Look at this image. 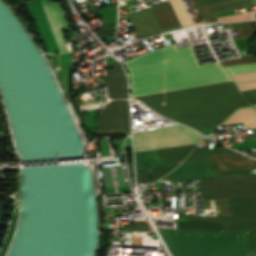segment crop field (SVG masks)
Wrapping results in <instances>:
<instances>
[{
  "instance_id": "bd1437ed",
  "label": "crop field",
  "mask_w": 256,
  "mask_h": 256,
  "mask_svg": "<svg viewBox=\"0 0 256 256\" xmlns=\"http://www.w3.org/2000/svg\"><path fill=\"white\" fill-rule=\"evenodd\" d=\"M242 94L250 102L251 105L256 104V89L242 92Z\"/></svg>"
},
{
  "instance_id": "ac0d7876",
  "label": "crop field",
  "mask_w": 256,
  "mask_h": 256,
  "mask_svg": "<svg viewBox=\"0 0 256 256\" xmlns=\"http://www.w3.org/2000/svg\"><path fill=\"white\" fill-rule=\"evenodd\" d=\"M158 230L173 256H256L248 232Z\"/></svg>"
},
{
  "instance_id": "214f88e0",
  "label": "crop field",
  "mask_w": 256,
  "mask_h": 256,
  "mask_svg": "<svg viewBox=\"0 0 256 256\" xmlns=\"http://www.w3.org/2000/svg\"><path fill=\"white\" fill-rule=\"evenodd\" d=\"M173 169L168 170H156V171H141L136 172L137 174V182H150L149 180H157L158 178L162 177L161 174H166Z\"/></svg>"
},
{
  "instance_id": "f4fd0767",
  "label": "crop field",
  "mask_w": 256,
  "mask_h": 256,
  "mask_svg": "<svg viewBox=\"0 0 256 256\" xmlns=\"http://www.w3.org/2000/svg\"><path fill=\"white\" fill-rule=\"evenodd\" d=\"M130 133L127 100L108 103L102 110L99 134Z\"/></svg>"
},
{
  "instance_id": "b80d0937",
  "label": "crop field",
  "mask_w": 256,
  "mask_h": 256,
  "mask_svg": "<svg viewBox=\"0 0 256 256\" xmlns=\"http://www.w3.org/2000/svg\"><path fill=\"white\" fill-rule=\"evenodd\" d=\"M255 139H256V135H254Z\"/></svg>"
},
{
  "instance_id": "e1f06a70",
  "label": "crop field",
  "mask_w": 256,
  "mask_h": 256,
  "mask_svg": "<svg viewBox=\"0 0 256 256\" xmlns=\"http://www.w3.org/2000/svg\"><path fill=\"white\" fill-rule=\"evenodd\" d=\"M241 27H252V24L234 26L233 29H237V28H241Z\"/></svg>"
},
{
  "instance_id": "d8731c3e",
  "label": "crop field",
  "mask_w": 256,
  "mask_h": 256,
  "mask_svg": "<svg viewBox=\"0 0 256 256\" xmlns=\"http://www.w3.org/2000/svg\"><path fill=\"white\" fill-rule=\"evenodd\" d=\"M127 15L140 38L162 32L150 7Z\"/></svg>"
},
{
  "instance_id": "412701ff",
  "label": "crop field",
  "mask_w": 256,
  "mask_h": 256,
  "mask_svg": "<svg viewBox=\"0 0 256 256\" xmlns=\"http://www.w3.org/2000/svg\"><path fill=\"white\" fill-rule=\"evenodd\" d=\"M203 201L256 197V176L199 180Z\"/></svg>"
},
{
  "instance_id": "28ad6ade",
  "label": "crop field",
  "mask_w": 256,
  "mask_h": 256,
  "mask_svg": "<svg viewBox=\"0 0 256 256\" xmlns=\"http://www.w3.org/2000/svg\"><path fill=\"white\" fill-rule=\"evenodd\" d=\"M136 170L175 168L178 164L162 165L157 150L135 152Z\"/></svg>"
},
{
  "instance_id": "d3111659",
  "label": "crop field",
  "mask_w": 256,
  "mask_h": 256,
  "mask_svg": "<svg viewBox=\"0 0 256 256\" xmlns=\"http://www.w3.org/2000/svg\"><path fill=\"white\" fill-rule=\"evenodd\" d=\"M128 231H150L146 222H133V226H123Z\"/></svg>"
},
{
  "instance_id": "730fd06b",
  "label": "crop field",
  "mask_w": 256,
  "mask_h": 256,
  "mask_svg": "<svg viewBox=\"0 0 256 256\" xmlns=\"http://www.w3.org/2000/svg\"><path fill=\"white\" fill-rule=\"evenodd\" d=\"M188 154L189 153L166 155V156H160V158L163 164H171V163H178L177 160L185 159Z\"/></svg>"
},
{
  "instance_id": "c035e120",
  "label": "crop field",
  "mask_w": 256,
  "mask_h": 256,
  "mask_svg": "<svg viewBox=\"0 0 256 256\" xmlns=\"http://www.w3.org/2000/svg\"><path fill=\"white\" fill-rule=\"evenodd\" d=\"M256 107V105H254Z\"/></svg>"
},
{
  "instance_id": "92a150f3",
  "label": "crop field",
  "mask_w": 256,
  "mask_h": 256,
  "mask_svg": "<svg viewBox=\"0 0 256 256\" xmlns=\"http://www.w3.org/2000/svg\"><path fill=\"white\" fill-rule=\"evenodd\" d=\"M226 69L230 74L256 72V64L229 66Z\"/></svg>"
},
{
  "instance_id": "120bbe31",
  "label": "crop field",
  "mask_w": 256,
  "mask_h": 256,
  "mask_svg": "<svg viewBox=\"0 0 256 256\" xmlns=\"http://www.w3.org/2000/svg\"><path fill=\"white\" fill-rule=\"evenodd\" d=\"M237 87L240 90V92L254 89V88H256V82L255 83H247V84H239V85H237Z\"/></svg>"
},
{
  "instance_id": "00972430",
  "label": "crop field",
  "mask_w": 256,
  "mask_h": 256,
  "mask_svg": "<svg viewBox=\"0 0 256 256\" xmlns=\"http://www.w3.org/2000/svg\"><path fill=\"white\" fill-rule=\"evenodd\" d=\"M235 84L256 81V73L231 75Z\"/></svg>"
},
{
  "instance_id": "cbeb9de0",
  "label": "crop field",
  "mask_w": 256,
  "mask_h": 256,
  "mask_svg": "<svg viewBox=\"0 0 256 256\" xmlns=\"http://www.w3.org/2000/svg\"><path fill=\"white\" fill-rule=\"evenodd\" d=\"M256 0H225L202 6L206 15H212L232 9L254 6Z\"/></svg>"
},
{
  "instance_id": "5142ce71",
  "label": "crop field",
  "mask_w": 256,
  "mask_h": 256,
  "mask_svg": "<svg viewBox=\"0 0 256 256\" xmlns=\"http://www.w3.org/2000/svg\"><path fill=\"white\" fill-rule=\"evenodd\" d=\"M223 231L256 230V217H222Z\"/></svg>"
},
{
  "instance_id": "0bd39190",
  "label": "crop field",
  "mask_w": 256,
  "mask_h": 256,
  "mask_svg": "<svg viewBox=\"0 0 256 256\" xmlns=\"http://www.w3.org/2000/svg\"><path fill=\"white\" fill-rule=\"evenodd\" d=\"M253 134H256V130H253Z\"/></svg>"
},
{
  "instance_id": "028f5c9d",
  "label": "crop field",
  "mask_w": 256,
  "mask_h": 256,
  "mask_svg": "<svg viewBox=\"0 0 256 256\" xmlns=\"http://www.w3.org/2000/svg\"><path fill=\"white\" fill-rule=\"evenodd\" d=\"M199 1H200L201 5H203V4L217 2V1H221V0H199Z\"/></svg>"
},
{
  "instance_id": "3316defc",
  "label": "crop field",
  "mask_w": 256,
  "mask_h": 256,
  "mask_svg": "<svg viewBox=\"0 0 256 256\" xmlns=\"http://www.w3.org/2000/svg\"><path fill=\"white\" fill-rule=\"evenodd\" d=\"M124 81H126L125 74L121 67H113V69L106 71L105 84L109 98H127V87Z\"/></svg>"
},
{
  "instance_id": "dafd665d",
  "label": "crop field",
  "mask_w": 256,
  "mask_h": 256,
  "mask_svg": "<svg viewBox=\"0 0 256 256\" xmlns=\"http://www.w3.org/2000/svg\"><path fill=\"white\" fill-rule=\"evenodd\" d=\"M215 178L250 175L249 170L220 171L214 173Z\"/></svg>"
},
{
  "instance_id": "733c2abd",
  "label": "crop field",
  "mask_w": 256,
  "mask_h": 256,
  "mask_svg": "<svg viewBox=\"0 0 256 256\" xmlns=\"http://www.w3.org/2000/svg\"><path fill=\"white\" fill-rule=\"evenodd\" d=\"M234 152L225 147L193 151L184 162L210 161V155Z\"/></svg>"
},
{
  "instance_id": "a9b5d70f",
  "label": "crop field",
  "mask_w": 256,
  "mask_h": 256,
  "mask_svg": "<svg viewBox=\"0 0 256 256\" xmlns=\"http://www.w3.org/2000/svg\"><path fill=\"white\" fill-rule=\"evenodd\" d=\"M195 145L192 146H184V147H176V148H165V149H159L161 155L165 154H175V153H185V152H191Z\"/></svg>"
},
{
  "instance_id": "d1516ede",
  "label": "crop field",
  "mask_w": 256,
  "mask_h": 256,
  "mask_svg": "<svg viewBox=\"0 0 256 256\" xmlns=\"http://www.w3.org/2000/svg\"><path fill=\"white\" fill-rule=\"evenodd\" d=\"M151 8L162 29L180 25L169 1L151 5Z\"/></svg>"
},
{
  "instance_id": "d32e631a",
  "label": "crop field",
  "mask_w": 256,
  "mask_h": 256,
  "mask_svg": "<svg viewBox=\"0 0 256 256\" xmlns=\"http://www.w3.org/2000/svg\"><path fill=\"white\" fill-rule=\"evenodd\" d=\"M252 250H256V231L249 232Z\"/></svg>"
},
{
  "instance_id": "22f410ed",
  "label": "crop field",
  "mask_w": 256,
  "mask_h": 256,
  "mask_svg": "<svg viewBox=\"0 0 256 256\" xmlns=\"http://www.w3.org/2000/svg\"><path fill=\"white\" fill-rule=\"evenodd\" d=\"M243 123L245 129L256 128V110L250 107L236 109L220 125Z\"/></svg>"
},
{
  "instance_id": "e52e79f7",
  "label": "crop field",
  "mask_w": 256,
  "mask_h": 256,
  "mask_svg": "<svg viewBox=\"0 0 256 256\" xmlns=\"http://www.w3.org/2000/svg\"><path fill=\"white\" fill-rule=\"evenodd\" d=\"M214 178L210 162L182 163L160 180Z\"/></svg>"
},
{
  "instance_id": "750c4746",
  "label": "crop field",
  "mask_w": 256,
  "mask_h": 256,
  "mask_svg": "<svg viewBox=\"0 0 256 256\" xmlns=\"http://www.w3.org/2000/svg\"><path fill=\"white\" fill-rule=\"evenodd\" d=\"M238 30H239L240 34L231 35L233 39L247 37V36H253L252 28H242V29H238Z\"/></svg>"
},
{
  "instance_id": "d9b57169",
  "label": "crop field",
  "mask_w": 256,
  "mask_h": 256,
  "mask_svg": "<svg viewBox=\"0 0 256 256\" xmlns=\"http://www.w3.org/2000/svg\"><path fill=\"white\" fill-rule=\"evenodd\" d=\"M231 216H256V198L228 200Z\"/></svg>"
},
{
  "instance_id": "dd49c442",
  "label": "crop field",
  "mask_w": 256,
  "mask_h": 256,
  "mask_svg": "<svg viewBox=\"0 0 256 256\" xmlns=\"http://www.w3.org/2000/svg\"><path fill=\"white\" fill-rule=\"evenodd\" d=\"M60 51H66L63 43V31L71 30L66 13L59 1L50 4L49 0H40Z\"/></svg>"
},
{
  "instance_id": "ae1a2a85",
  "label": "crop field",
  "mask_w": 256,
  "mask_h": 256,
  "mask_svg": "<svg viewBox=\"0 0 256 256\" xmlns=\"http://www.w3.org/2000/svg\"><path fill=\"white\" fill-rule=\"evenodd\" d=\"M192 2L195 8L198 10L199 15L202 18L203 22H218L215 15L206 17L202 7L199 5L197 0H192Z\"/></svg>"
},
{
  "instance_id": "bc2a9ffb",
  "label": "crop field",
  "mask_w": 256,
  "mask_h": 256,
  "mask_svg": "<svg viewBox=\"0 0 256 256\" xmlns=\"http://www.w3.org/2000/svg\"><path fill=\"white\" fill-rule=\"evenodd\" d=\"M170 2L180 20L182 27L193 24L191 17L189 15V13L187 12L182 0H170Z\"/></svg>"
},
{
  "instance_id": "5a996713",
  "label": "crop field",
  "mask_w": 256,
  "mask_h": 256,
  "mask_svg": "<svg viewBox=\"0 0 256 256\" xmlns=\"http://www.w3.org/2000/svg\"><path fill=\"white\" fill-rule=\"evenodd\" d=\"M211 162L213 171L256 168V160L239 153L211 156Z\"/></svg>"
},
{
  "instance_id": "eef30255",
  "label": "crop field",
  "mask_w": 256,
  "mask_h": 256,
  "mask_svg": "<svg viewBox=\"0 0 256 256\" xmlns=\"http://www.w3.org/2000/svg\"><path fill=\"white\" fill-rule=\"evenodd\" d=\"M254 12L248 14H241V15H229L224 17L217 18L219 22L224 21H234V20H241V19H251Z\"/></svg>"
},
{
  "instance_id": "4177f3b9",
  "label": "crop field",
  "mask_w": 256,
  "mask_h": 256,
  "mask_svg": "<svg viewBox=\"0 0 256 256\" xmlns=\"http://www.w3.org/2000/svg\"><path fill=\"white\" fill-rule=\"evenodd\" d=\"M255 62H256V57H249V58H238V59L222 61L221 64L223 66H227V65L255 63Z\"/></svg>"
},
{
  "instance_id": "5866460e",
  "label": "crop field",
  "mask_w": 256,
  "mask_h": 256,
  "mask_svg": "<svg viewBox=\"0 0 256 256\" xmlns=\"http://www.w3.org/2000/svg\"><path fill=\"white\" fill-rule=\"evenodd\" d=\"M247 23H251V21L234 22V23H225V24H223V26H224V27H228V26H234V25H239V24H247Z\"/></svg>"
},
{
  "instance_id": "8a807250",
  "label": "crop field",
  "mask_w": 256,
  "mask_h": 256,
  "mask_svg": "<svg viewBox=\"0 0 256 256\" xmlns=\"http://www.w3.org/2000/svg\"><path fill=\"white\" fill-rule=\"evenodd\" d=\"M122 64L131 98L232 80L218 62L200 66L191 46H165ZM136 99L198 131L216 128L234 109L249 105L233 81Z\"/></svg>"
},
{
  "instance_id": "1d83c4d3",
  "label": "crop field",
  "mask_w": 256,
  "mask_h": 256,
  "mask_svg": "<svg viewBox=\"0 0 256 256\" xmlns=\"http://www.w3.org/2000/svg\"><path fill=\"white\" fill-rule=\"evenodd\" d=\"M177 218H181V219H199V220L221 221V218H214V217H196V216L177 215Z\"/></svg>"
},
{
  "instance_id": "34b2d1b8",
  "label": "crop field",
  "mask_w": 256,
  "mask_h": 256,
  "mask_svg": "<svg viewBox=\"0 0 256 256\" xmlns=\"http://www.w3.org/2000/svg\"><path fill=\"white\" fill-rule=\"evenodd\" d=\"M203 136L181 125L134 134L135 151L197 144Z\"/></svg>"
},
{
  "instance_id": "4a817a6b",
  "label": "crop field",
  "mask_w": 256,
  "mask_h": 256,
  "mask_svg": "<svg viewBox=\"0 0 256 256\" xmlns=\"http://www.w3.org/2000/svg\"><path fill=\"white\" fill-rule=\"evenodd\" d=\"M220 225L221 223L188 221V224L177 223V229L220 231Z\"/></svg>"
}]
</instances>
